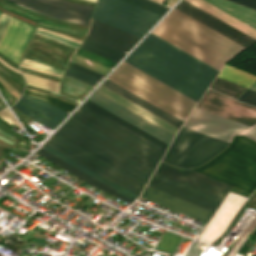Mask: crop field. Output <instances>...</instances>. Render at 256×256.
Instances as JSON below:
<instances>
[{"mask_svg":"<svg viewBox=\"0 0 256 256\" xmlns=\"http://www.w3.org/2000/svg\"><path fill=\"white\" fill-rule=\"evenodd\" d=\"M42 147H43V149L49 151L50 153L56 155L57 157L63 159L64 161L70 163L71 165H73V166L79 168L80 170H82V171L86 172L87 174L93 176L94 178L100 180L101 182H103V183H105V184H107V185H109V186H111V187H113V188L118 189V190H119V191H118L119 193H121V194H123V195H125V196H127V197H129V198H131V199H133V200H135V199L138 197V195H136V194H134V193H132V192H130V191H128V190H126V189H124V188H122V187L116 185V184H114L113 182H111V181L105 179L104 177L98 175L97 173L91 171L90 169H88V168L82 166L81 164L75 162L74 160L68 158L67 156L61 154L60 152H58V151L52 149L51 147H49V146H47V145H45V144H44Z\"/></svg>","mask_w":256,"mask_h":256,"instance_id":"00972430","label":"crop field"},{"mask_svg":"<svg viewBox=\"0 0 256 256\" xmlns=\"http://www.w3.org/2000/svg\"><path fill=\"white\" fill-rule=\"evenodd\" d=\"M195 170L250 192L256 187V143L235 136L229 148Z\"/></svg>","mask_w":256,"mask_h":256,"instance_id":"f4fd0767","label":"crop field"},{"mask_svg":"<svg viewBox=\"0 0 256 256\" xmlns=\"http://www.w3.org/2000/svg\"><path fill=\"white\" fill-rule=\"evenodd\" d=\"M124 62L197 102L219 72L151 33Z\"/></svg>","mask_w":256,"mask_h":256,"instance_id":"ac0d7876","label":"crop field"},{"mask_svg":"<svg viewBox=\"0 0 256 256\" xmlns=\"http://www.w3.org/2000/svg\"><path fill=\"white\" fill-rule=\"evenodd\" d=\"M81 48L96 53L115 62L119 61L125 55V52L121 50L115 49L87 37L83 41Z\"/></svg>","mask_w":256,"mask_h":256,"instance_id":"a9b5d70f","label":"crop field"},{"mask_svg":"<svg viewBox=\"0 0 256 256\" xmlns=\"http://www.w3.org/2000/svg\"><path fill=\"white\" fill-rule=\"evenodd\" d=\"M46 37V36H45ZM49 38V37H48ZM51 39V38H50ZM54 40V39H53ZM56 41V40H55ZM59 42V41H58ZM60 43H62V42H60ZM64 44V43H63ZM65 45H67V44H65ZM68 46H70V45H68ZM70 47H73V46H70ZM73 48H75L76 49V47H73Z\"/></svg>","mask_w":256,"mask_h":256,"instance_id":"5d738f31","label":"crop field"},{"mask_svg":"<svg viewBox=\"0 0 256 256\" xmlns=\"http://www.w3.org/2000/svg\"><path fill=\"white\" fill-rule=\"evenodd\" d=\"M85 104H87V105L93 107L94 109H96V110L100 111L101 113H103V114L109 116L110 118L116 120L117 122H119V123L125 125L126 127L130 128V129H132V130H134L135 132H137V133L141 134L142 136H144V137L150 139L151 141L157 143L158 145H160V146H162V147H164V148H167L168 145H166V144L162 143L161 141L155 139L154 137H152V136L146 134L145 132L139 130L138 128H136V127H134V126H132L131 124L125 122L124 120L118 118L117 116L111 114L110 112H108V111L102 109L101 107L95 105L94 103H92V102H90V101L87 100V102H86Z\"/></svg>","mask_w":256,"mask_h":256,"instance_id":"730fd06b","label":"crop field"},{"mask_svg":"<svg viewBox=\"0 0 256 256\" xmlns=\"http://www.w3.org/2000/svg\"><path fill=\"white\" fill-rule=\"evenodd\" d=\"M155 203L206 223L211 213L146 186L142 196Z\"/></svg>","mask_w":256,"mask_h":256,"instance_id":"733c2abd","label":"crop field"},{"mask_svg":"<svg viewBox=\"0 0 256 256\" xmlns=\"http://www.w3.org/2000/svg\"><path fill=\"white\" fill-rule=\"evenodd\" d=\"M10 19H11V16L6 15L4 13L2 14V16L0 18V39H1L6 27L8 25Z\"/></svg>","mask_w":256,"mask_h":256,"instance_id":"5866460e","label":"crop field"},{"mask_svg":"<svg viewBox=\"0 0 256 256\" xmlns=\"http://www.w3.org/2000/svg\"><path fill=\"white\" fill-rule=\"evenodd\" d=\"M53 18L89 25L92 7L65 0H8Z\"/></svg>","mask_w":256,"mask_h":256,"instance_id":"3316defc","label":"crop field"},{"mask_svg":"<svg viewBox=\"0 0 256 256\" xmlns=\"http://www.w3.org/2000/svg\"><path fill=\"white\" fill-rule=\"evenodd\" d=\"M70 67H72V68H74V69H77V70H79V71H82V72H84V73H86V74H89V75H91V76H94V77H96V78H98V79H100V78L103 76V74H101V73H98V72H96V71L90 70V69H88V68H85V67H83V66H80V65H78V64H75V63H73V62H71Z\"/></svg>","mask_w":256,"mask_h":256,"instance_id":"1d83c4d3","label":"crop field"},{"mask_svg":"<svg viewBox=\"0 0 256 256\" xmlns=\"http://www.w3.org/2000/svg\"><path fill=\"white\" fill-rule=\"evenodd\" d=\"M197 108L249 126L256 123V108L234 101L211 90H208Z\"/></svg>","mask_w":256,"mask_h":256,"instance_id":"28ad6ade","label":"crop field"},{"mask_svg":"<svg viewBox=\"0 0 256 256\" xmlns=\"http://www.w3.org/2000/svg\"><path fill=\"white\" fill-rule=\"evenodd\" d=\"M0 118H2L4 121H6L10 125L14 124L15 126H17L20 129L19 125L17 124L15 119L12 117V115L10 114L8 109H5L0 112Z\"/></svg>","mask_w":256,"mask_h":256,"instance_id":"120bbe31","label":"crop field"},{"mask_svg":"<svg viewBox=\"0 0 256 256\" xmlns=\"http://www.w3.org/2000/svg\"><path fill=\"white\" fill-rule=\"evenodd\" d=\"M90 1H93V2H94L95 0H90Z\"/></svg>","mask_w":256,"mask_h":256,"instance_id":"425ffa30","label":"crop field"},{"mask_svg":"<svg viewBox=\"0 0 256 256\" xmlns=\"http://www.w3.org/2000/svg\"><path fill=\"white\" fill-rule=\"evenodd\" d=\"M69 1H73V2H76V3H80V4L92 6V7L94 5L93 2H89V1H85V0H69Z\"/></svg>","mask_w":256,"mask_h":256,"instance_id":"b80d0937","label":"crop field"},{"mask_svg":"<svg viewBox=\"0 0 256 256\" xmlns=\"http://www.w3.org/2000/svg\"><path fill=\"white\" fill-rule=\"evenodd\" d=\"M22 60L25 61V62H27V63H30V64H34V65H38V66H43V67H46V68H48V69L55 70V71H58V72H61V73H62V71H60V70L54 69V68H52V67L46 66V65L41 64V63H37V62L31 61V60H27V59H24V58H23ZM23 61H22L23 64H27V63H25V62H23ZM30 64H28V65H30ZM34 65H32V66H34ZM38 66H36V67H38ZM39 68H41V67H39ZM43 69H45V68H43ZM48 69H46V70H48ZM51 70H49V71H51ZM52 72H54V71H52ZM58 72H54V73H57V74H60V75H61V73H58Z\"/></svg>","mask_w":256,"mask_h":256,"instance_id":"028f5c9d","label":"crop field"},{"mask_svg":"<svg viewBox=\"0 0 256 256\" xmlns=\"http://www.w3.org/2000/svg\"><path fill=\"white\" fill-rule=\"evenodd\" d=\"M36 153H38L39 155L43 156L44 158H46L47 160L53 162L54 164L58 165L59 167L65 169L66 171L70 172L71 174L77 176L78 178L82 179L84 182L126 202V203H131L133 202V200L117 193L115 189L101 183L100 181L94 179L93 177L87 175L86 173L80 171L79 169L71 166L70 164L64 162L63 160L57 158L56 156L50 154L49 152L43 150V149H39Z\"/></svg>","mask_w":256,"mask_h":256,"instance_id":"4a817a6b","label":"crop field"},{"mask_svg":"<svg viewBox=\"0 0 256 256\" xmlns=\"http://www.w3.org/2000/svg\"><path fill=\"white\" fill-rule=\"evenodd\" d=\"M38 30H41V29L38 28ZM44 30H45V29H44ZM44 30H42V31H44ZM48 31H49V30H48ZM48 31H46V32H48ZM49 33H52V32H49ZM54 33H56V32H54ZM54 33H52V34H54ZM58 34H59V33H58ZM58 34H55V35H58ZM62 35H63V34H62ZM58 36H61V35H58ZM64 36H66V35H64ZM61 37H63V36H61ZM66 37H69V36H66ZM66 37H63V38H66ZM69 38H72V37H69ZM69 38H66V39L71 40V41L76 42V43L79 44V42L75 41V40H77V39L72 40V39H74V38H72V39H69ZM78 41H80V40H78Z\"/></svg>","mask_w":256,"mask_h":256,"instance_id":"c035e120","label":"crop field"},{"mask_svg":"<svg viewBox=\"0 0 256 256\" xmlns=\"http://www.w3.org/2000/svg\"><path fill=\"white\" fill-rule=\"evenodd\" d=\"M23 65V64H22ZM21 65V66H22ZM26 66H28V65H26ZM26 66H22V67H26ZM29 67H32V66H29ZM29 67H26V68H29ZM33 68H36V67H33ZM33 68H30V69H33ZM36 69H39V68H36ZM36 69H33V70H36ZM40 70H42L43 72H47V73H51V74H54V73H52V72H49V71H46V70H43V69H40ZM40 70H37V71H40ZM55 75H57V74H55ZM60 76V75H59Z\"/></svg>","mask_w":256,"mask_h":256,"instance_id":"c21b1889","label":"crop field"},{"mask_svg":"<svg viewBox=\"0 0 256 256\" xmlns=\"http://www.w3.org/2000/svg\"><path fill=\"white\" fill-rule=\"evenodd\" d=\"M0 62H2L4 65L8 66L9 68L19 72L18 70L14 69L13 67H11L10 65L6 64L5 62H3L1 59H0ZM20 73V72H19Z\"/></svg>","mask_w":256,"mask_h":256,"instance_id":"03da06ac","label":"crop field"},{"mask_svg":"<svg viewBox=\"0 0 256 256\" xmlns=\"http://www.w3.org/2000/svg\"><path fill=\"white\" fill-rule=\"evenodd\" d=\"M159 17L122 0H98L92 18L141 37Z\"/></svg>","mask_w":256,"mask_h":256,"instance_id":"d8731c3e","label":"crop field"},{"mask_svg":"<svg viewBox=\"0 0 256 256\" xmlns=\"http://www.w3.org/2000/svg\"><path fill=\"white\" fill-rule=\"evenodd\" d=\"M175 9L183 12L184 14L192 17L193 19L201 22L202 24L210 27L211 29L219 32L220 34L228 37L229 39L246 48L256 43V40L250 38L249 36L243 34L242 32L234 29L233 27L225 24L224 22L218 20L217 18L209 15L208 13L200 10L199 8L184 0Z\"/></svg>","mask_w":256,"mask_h":256,"instance_id":"22f410ed","label":"crop field"},{"mask_svg":"<svg viewBox=\"0 0 256 256\" xmlns=\"http://www.w3.org/2000/svg\"><path fill=\"white\" fill-rule=\"evenodd\" d=\"M229 14L237 17L245 23L256 28V10L247 8L245 6L236 4L228 0H206ZM249 89L256 91V82L253 83Z\"/></svg>","mask_w":256,"mask_h":256,"instance_id":"92a150f3","label":"crop field"},{"mask_svg":"<svg viewBox=\"0 0 256 256\" xmlns=\"http://www.w3.org/2000/svg\"><path fill=\"white\" fill-rule=\"evenodd\" d=\"M153 1H156V2H158V3H161V2L164 1V0H153Z\"/></svg>","mask_w":256,"mask_h":256,"instance_id":"b54c1fbb","label":"crop field"},{"mask_svg":"<svg viewBox=\"0 0 256 256\" xmlns=\"http://www.w3.org/2000/svg\"><path fill=\"white\" fill-rule=\"evenodd\" d=\"M65 75L70 76L72 78H75L77 80H80L82 82H85L87 84H90L92 86H94L96 84V82L98 81V79L91 77L89 75H86L82 72H79L77 70H74L70 67H68L67 71L65 72Z\"/></svg>","mask_w":256,"mask_h":256,"instance_id":"750c4746","label":"crop field"},{"mask_svg":"<svg viewBox=\"0 0 256 256\" xmlns=\"http://www.w3.org/2000/svg\"><path fill=\"white\" fill-rule=\"evenodd\" d=\"M148 186L214 213L231 185L194 171L160 162Z\"/></svg>","mask_w":256,"mask_h":256,"instance_id":"412701ff","label":"crop field"},{"mask_svg":"<svg viewBox=\"0 0 256 256\" xmlns=\"http://www.w3.org/2000/svg\"><path fill=\"white\" fill-rule=\"evenodd\" d=\"M25 94H28L30 96H33V97L42 99L44 101H47V102L57 106L58 108L66 111V112L67 111L70 112L75 107V105L70 104L68 102H65L61 99H58V98L53 97V96L45 95V94H42V93H38V92H35V91H31V90L26 89Z\"/></svg>","mask_w":256,"mask_h":256,"instance_id":"ae1a2a85","label":"crop field"},{"mask_svg":"<svg viewBox=\"0 0 256 256\" xmlns=\"http://www.w3.org/2000/svg\"><path fill=\"white\" fill-rule=\"evenodd\" d=\"M98 92L102 93L103 95L109 97L110 99L116 101L117 103L123 105L124 107L139 114L140 116L146 118L147 120L153 122L154 124L160 126L161 128L167 130L174 135L179 129L102 85L98 88Z\"/></svg>","mask_w":256,"mask_h":256,"instance_id":"214f88e0","label":"crop field"},{"mask_svg":"<svg viewBox=\"0 0 256 256\" xmlns=\"http://www.w3.org/2000/svg\"><path fill=\"white\" fill-rule=\"evenodd\" d=\"M102 85L108 87L109 89L117 92L118 94L124 96L125 98L133 101L134 103L140 105L141 107L147 109L148 111L156 114L157 116L163 118L164 120L172 123L173 125L180 128L184 121L178 119L177 117L169 114L168 112L162 110L161 108L155 106L154 104L146 101L145 99L139 97L138 95L132 93L131 91L125 89L124 87L116 84L115 82L107 79Z\"/></svg>","mask_w":256,"mask_h":256,"instance_id":"bc2a9ffb","label":"crop field"},{"mask_svg":"<svg viewBox=\"0 0 256 256\" xmlns=\"http://www.w3.org/2000/svg\"><path fill=\"white\" fill-rule=\"evenodd\" d=\"M184 127L231 142L234 135H244L256 142V124L249 127L195 108Z\"/></svg>","mask_w":256,"mask_h":256,"instance_id":"5a996713","label":"crop field"},{"mask_svg":"<svg viewBox=\"0 0 256 256\" xmlns=\"http://www.w3.org/2000/svg\"><path fill=\"white\" fill-rule=\"evenodd\" d=\"M4 109L1 105H0V110Z\"/></svg>","mask_w":256,"mask_h":256,"instance_id":"d23c7cc5","label":"crop field"},{"mask_svg":"<svg viewBox=\"0 0 256 256\" xmlns=\"http://www.w3.org/2000/svg\"><path fill=\"white\" fill-rule=\"evenodd\" d=\"M87 37L108 44L123 51H128L139 37L92 20ZM132 48V47H131Z\"/></svg>","mask_w":256,"mask_h":256,"instance_id":"5142ce71","label":"crop field"},{"mask_svg":"<svg viewBox=\"0 0 256 256\" xmlns=\"http://www.w3.org/2000/svg\"><path fill=\"white\" fill-rule=\"evenodd\" d=\"M243 102L256 106V92L247 89L239 98Z\"/></svg>","mask_w":256,"mask_h":256,"instance_id":"bd1437ed","label":"crop field"},{"mask_svg":"<svg viewBox=\"0 0 256 256\" xmlns=\"http://www.w3.org/2000/svg\"><path fill=\"white\" fill-rule=\"evenodd\" d=\"M228 145L229 142L182 127L162 160L181 168L196 167Z\"/></svg>","mask_w":256,"mask_h":256,"instance_id":"e52e79f7","label":"crop field"},{"mask_svg":"<svg viewBox=\"0 0 256 256\" xmlns=\"http://www.w3.org/2000/svg\"><path fill=\"white\" fill-rule=\"evenodd\" d=\"M211 88L222 91L224 93L230 94L232 96L237 97L240 93H242L245 88L240 87L236 84L228 82L224 79L217 77L214 83L211 85Z\"/></svg>","mask_w":256,"mask_h":256,"instance_id":"eef30255","label":"crop field"},{"mask_svg":"<svg viewBox=\"0 0 256 256\" xmlns=\"http://www.w3.org/2000/svg\"><path fill=\"white\" fill-rule=\"evenodd\" d=\"M160 15H163L169 8L151 0H125Z\"/></svg>","mask_w":256,"mask_h":256,"instance_id":"d3111659","label":"crop field"},{"mask_svg":"<svg viewBox=\"0 0 256 256\" xmlns=\"http://www.w3.org/2000/svg\"><path fill=\"white\" fill-rule=\"evenodd\" d=\"M0 14H1V12H0Z\"/></svg>","mask_w":256,"mask_h":256,"instance_id":"25e5ab78","label":"crop field"},{"mask_svg":"<svg viewBox=\"0 0 256 256\" xmlns=\"http://www.w3.org/2000/svg\"><path fill=\"white\" fill-rule=\"evenodd\" d=\"M42 25H45V26H48V27L56 29V27L52 26V25H48V24H44V23H42ZM57 29L58 30L68 31V32L74 33V34L82 36V37H84V35H85V32H81V31H77V30H73V29H69V28L65 29V28L57 27Z\"/></svg>","mask_w":256,"mask_h":256,"instance_id":"e1f06a70","label":"crop field"},{"mask_svg":"<svg viewBox=\"0 0 256 256\" xmlns=\"http://www.w3.org/2000/svg\"><path fill=\"white\" fill-rule=\"evenodd\" d=\"M151 33L219 71L246 49L175 9Z\"/></svg>","mask_w":256,"mask_h":256,"instance_id":"34b2d1b8","label":"crop field"},{"mask_svg":"<svg viewBox=\"0 0 256 256\" xmlns=\"http://www.w3.org/2000/svg\"><path fill=\"white\" fill-rule=\"evenodd\" d=\"M193 5L199 7L200 9L208 12L209 14L217 17L218 19L224 21L225 23L233 26L234 28L242 31L243 33L249 35L250 37L256 39V30L249 27L248 25L242 23L241 21L233 18L232 16L224 13L223 11L215 8L214 6L208 4L203 0H186Z\"/></svg>","mask_w":256,"mask_h":256,"instance_id":"dafd665d","label":"crop field"},{"mask_svg":"<svg viewBox=\"0 0 256 256\" xmlns=\"http://www.w3.org/2000/svg\"><path fill=\"white\" fill-rule=\"evenodd\" d=\"M109 78L182 120L197 103L124 62Z\"/></svg>","mask_w":256,"mask_h":256,"instance_id":"dd49c442","label":"crop field"},{"mask_svg":"<svg viewBox=\"0 0 256 256\" xmlns=\"http://www.w3.org/2000/svg\"><path fill=\"white\" fill-rule=\"evenodd\" d=\"M88 100L110 111L111 113L117 115L118 117L124 119L125 121L131 123L132 125L138 127L139 129L145 131L146 133L154 136L155 138L161 140L168 145L174 136L167 131L159 128L158 126L152 124L151 122L143 119L142 117L136 115L135 113L129 111L128 109L113 102L112 100L97 93L96 91Z\"/></svg>","mask_w":256,"mask_h":256,"instance_id":"d1516ede","label":"crop field"},{"mask_svg":"<svg viewBox=\"0 0 256 256\" xmlns=\"http://www.w3.org/2000/svg\"><path fill=\"white\" fill-rule=\"evenodd\" d=\"M20 102L34 110L35 112L41 114L42 116L46 117L48 120H45L41 118L39 115H37L34 111L31 112L27 108H25L23 105H21ZM19 110L23 111L30 117L36 119L40 123L50 127L54 128L66 115L67 113L58 109L57 107L44 102L42 100L30 97L28 95L23 94V96L13 105Z\"/></svg>","mask_w":256,"mask_h":256,"instance_id":"d9b57169","label":"crop field"},{"mask_svg":"<svg viewBox=\"0 0 256 256\" xmlns=\"http://www.w3.org/2000/svg\"><path fill=\"white\" fill-rule=\"evenodd\" d=\"M22 73H23V72H22ZM24 74H27V73H24ZM24 74H23V75H24ZM28 75H30V74H28ZM28 75H25V76H28ZM25 76H24V77H25ZM31 76H34V75H31ZM31 76H29V77H31ZM29 77H25V78H29ZM34 77H37V76H34ZM34 77H32V78H34ZM32 78H29V79H32ZM38 78H40V77H38ZM38 78H36V79H38ZM36 79H32V80H36ZM41 79H44V78H41ZM41 79H39V80H41ZM39 80H36V81H39ZM44 80H47V79H44ZM44 80H43V81H44ZM25 81H26V80H25ZM43 81H39V82H43ZM48 81H51V80H48ZM48 81H46V82H48ZM26 82L57 91V89H53V88H50V87H47V86H43V85H40V84H36V83L30 82V81H26ZM46 82H43V83H46ZM51 82H54V81H51ZM51 82H50V83H51ZM27 83H26V84H27ZM50 83H46V84H50ZM54 83H58V82H54ZM54 83H53V84H54ZM31 84H27V85H31ZM53 84H50V85H53ZM58 84H59V83H58ZM58 84H57V85H58ZM34 85H31V86H34ZM57 85H53V86H57ZM38 86H34V87H38ZM57 87H58V86H57ZM38 88H41V87H38ZM45 88H42V89H45ZM49 89H45V90H49ZM52 90H49V91H52ZM56 91H52V92H56ZM56 93H57V92H56Z\"/></svg>","mask_w":256,"mask_h":256,"instance_id":"d32e631a","label":"crop field"},{"mask_svg":"<svg viewBox=\"0 0 256 256\" xmlns=\"http://www.w3.org/2000/svg\"><path fill=\"white\" fill-rule=\"evenodd\" d=\"M45 144L140 195L164 148L83 105Z\"/></svg>","mask_w":256,"mask_h":256,"instance_id":"8a807250","label":"crop field"},{"mask_svg":"<svg viewBox=\"0 0 256 256\" xmlns=\"http://www.w3.org/2000/svg\"><path fill=\"white\" fill-rule=\"evenodd\" d=\"M33 31V26L12 18L0 41V52L19 64L20 56Z\"/></svg>","mask_w":256,"mask_h":256,"instance_id":"cbeb9de0","label":"crop field"},{"mask_svg":"<svg viewBox=\"0 0 256 256\" xmlns=\"http://www.w3.org/2000/svg\"><path fill=\"white\" fill-rule=\"evenodd\" d=\"M219 77L224 78L233 83H236L245 88H247L256 79V76L242 72L229 65L225 66V68L219 74Z\"/></svg>","mask_w":256,"mask_h":256,"instance_id":"4177f3b9","label":"crop field"},{"mask_svg":"<svg viewBox=\"0 0 256 256\" xmlns=\"http://www.w3.org/2000/svg\"><path fill=\"white\" fill-rule=\"evenodd\" d=\"M231 1L256 9V0H231Z\"/></svg>","mask_w":256,"mask_h":256,"instance_id":"0bd39190","label":"crop field"}]
</instances>
